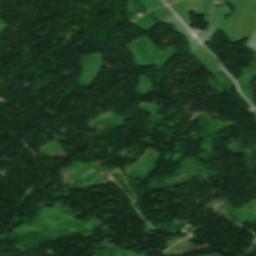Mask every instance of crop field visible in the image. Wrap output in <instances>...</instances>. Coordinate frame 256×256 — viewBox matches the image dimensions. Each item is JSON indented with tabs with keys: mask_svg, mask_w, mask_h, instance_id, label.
Segmentation results:
<instances>
[{
	"mask_svg": "<svg viewBox=\"0 0 256 256\" xmlns=\"http://www.w3.org/2000/svg\"><path fill=\"white\" fill-rule=\"evenodd\" d=\"M166 3L168 2V1H170V0H164Z\"/></svg>",
	"mask_w": 256,
	"mask_h": 256,
	"instance_id": "1",
	"label": "crop field"
}]
</instances>
